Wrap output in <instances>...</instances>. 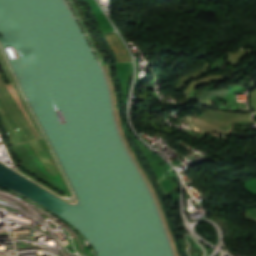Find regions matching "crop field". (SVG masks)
<instances>
[{
	"mask_svg": "<svg viewBox=\"0 0 256 256\" xmlns=\"http://www.w3.org/2000/svg\"><path fill=\"white\" fill-rule=\"evenodd\" d=\"M105 37L111 48L116 53L117 61H130L128 53L116 33L105 34Z\"/></svg>",
	"mask_w": 256,
	"mask_h": 256,
	"instance_id": "crop-field-1",
	"label": "crop field"
}]
</instances>
